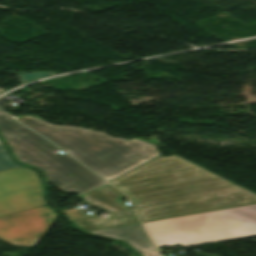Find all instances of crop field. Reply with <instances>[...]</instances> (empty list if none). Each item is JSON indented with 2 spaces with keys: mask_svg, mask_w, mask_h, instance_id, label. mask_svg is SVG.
I'll use <instances>...</instances> for the list:
<instances>
[{
  "mask_svg": "<svg viewBox=\"0 0 256 256\" xmlns=\"http://www.w3.org/2000/svg\"><path fill=\"white\" fill-rule=\"evenodd\" d=\"M142 222L256 203V195L175 155L161 156L110 182Z\"/></svg>",
  "mask_w": 256,
  "mask_h": 256,
  "instance_id": "crop-field-1",
  "label": "crop field"
},
{
  "mask_svg": "<svg viewBox=\"0 0 256 256\" xmlns=\"http://www.w3.org/2000/svg\"><path fill=\"white\" fill-rule=\"evenodd\" d=\"M17 121L55 143L108 182L160 156L154 146L136 139L127 142L104 133L54 126L26 116Z\"/></svg>",
  "mask_w": 256,
  "mask_h": 256,
  "instance_id": "crop-field-2",
  "label": "crop field"
},
{
  "mask_svg": "<svg viewBox=\"0 0 256 256\" xmlns=\"http://www.w3.org/2000/svg\"><path fill=\"white\" fill-rule=\"evenodd\" d=\"M144 225L158 248L252 236L256 235V204L146 222Z\"/></svg>",
  "mask_w": 256,
  "mask_h": 256,
  "instance_id": "crop-field-3",
  "label": "crop field"
},
{
  "mask_svg": "<svg viewBox=\"0 0 256 256\" xmlns=\"http://www.w3.org/2000/svg\"><path fill=\"white\" fill-rule=\"evenodd\" d=\"M0 133L18 160L40 168L47 181L64 192L80 194L105 183L47 140L0 112Z\"/></svg>",
  "mask_w": 256,
  "mask_h": 256,
  "instance_id": "crop-field-4",
  "label": "crop field"
},
{
  "mask_svg": "<svg viewBox=\"0 0 256 256\" xmlns=\"http://www.w3.org/2000/svg\"><path fill=\"white\" fill-rule=\"evenodd\" d=\"M78 197L84 200L85 203L96 206L110 214V218L104 220L96 216L84 218L78 213V210L63 212L83 232L139 223L134 212L120 200L124 195L108 184Z\"/></svg>",
  "mask_w": 256,
  "mask_h": 256,
  "instance_id": "crop-field-5",
  "label": "crop field"
},
{
  "mask_svg": "<svg viewBox=\"0 0 256 256\" xmlns=\"http://www.w3.org/2000/svg\"><path fill=\"white\" fill-rule=\"evenodd\" d=\"M45 204L35 171L22 167L0 172V215Z\"/></svg>",
  "mask_w": 256,
  "mask_h": 256,
  "instance_id": "crop-field-6",
  "label": "crop field"
},
{
  "mask_svg": "<svg viewBox=\"0 0 256 256\" xmlns=\"http://www.w3.org/2000/svg\"><path fill=\"white\" fill-rule=\"evenodd\" d=\"M57 217L48 205L0 216V239L13 245L35 246Z\"/></svg>",
  "mask_w": 256,
  "mask_h": 256,
  "instance_id": "crop-field-7",
  "label": "crop field"
},
{
  "mask_svg": "<svg viewBox=\"0 0 256 256\" xmlns=\"http://www.w3.org/2000/svg\"><path fill=\"white\" fill-rule=\"evenodd\" d=\"M94 235L123 240L137 253L154 251L156 248L145 234L141 224L87 232Z\"/></svg>",
  "mask_w": 256,
  "mask_h": 256,
  "instance_id": "crop-field-8",
  "label": "crop field"
},
{
  "mask_svg": "<svg viewBox=\"0 0 256 256\" xmlns=\"http://www.w3.org/2000/svg\"><path fill=\"white\" fill-rule=\"evenodd\" d=\"M20 167L12 162L0 143V170Z\"/></svg>",
  "mask_w": 256,
  "mask_h": 256,
  "instance_id": "crop-field-9",
  "label": "crop field"
},
{
  "mask_svg": "<svg viewBox=\"0 0 256 256\" xmlns=\"http://www.w3.org/2000/svg\"><path fill=\"white\" fill-rule=\"evenodd\" d=\"M49 75H53V73L38 71V72H33L28 74H22V75H19V77L21 78L22 82H25V81L39 79Z\"/></svg>",
  "mask_w": 256,
  "mask_h": 256,
  "instance_id": "crop-field-10",
  "label": "crop field"
},
{
  "mask_svg": "<svg viewBox=\"0 0 256 256\" xmlns=\"http://www.w3.org/2000/svg\"><path fill=\"white\" fill-rule=\"evenodd\" d=\"M139 255H141V256H161L158 251L148 252V253H141Z\"/></svg>",
  "mask_w": 256,
  "mask_h": 256,
  "instance_id": "crop-field-11",
  "label": "crop field"
},
{
  "mask_svg": "<svg viewBox=\"0 0 256 256\" xmlns=\"http://www.w3.org/2000/svg\"><path fill=\"white\" fill-rule=\"evenodd\" d=\"M2 89H0V91H1Z\"/></svg>",
  "mask_w": 256,
  "mask_h": 256,
  "instance_id": "crop-field-12",
  "label": "crop field"
}]
</instances>
